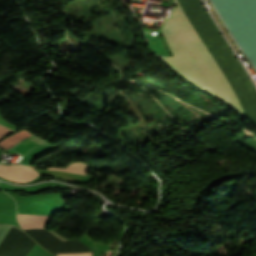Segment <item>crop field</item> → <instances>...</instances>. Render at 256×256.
Returning a JSON list of instances; mask_svg holds the SVG:
<instances>
[{"label": "crop field", "instance_id": "crop-field-1", "mask_svg": "<svg viewBox=\"0 0 256 256\" xmlns=\"http://www.w3.org/2000/svg\"><path fill=\"white\" fill-rule=\"evenodd\" d=\"M170 18L165 20L162 30L174 57L163 58L182 76L188 78L202 90L235 107L256 123V91L249 78L223 40L200 0H173ZM246 115V116H247Z\"/></svg>", "mask_w": 256, "mask_h": 256}, {"label": "crop field", "instance_id": "crop-field-2", "mask_svg": "<svg viewBox=\"0 0 256 256\" xmlns=\"http://www.w3.org/2000/svg\"><path fill=\"white\" fill-rule=\"evenodd\" d=\"M6 166L0 164V177L13 182H30L39 175L35 170L24 165Z\"/></svg>", "mask_w": 256, "mask_h": 256}, {"label": "crop field", "instance_id": "crop-field-3", "mask_svg": "<svg viewBox=\"0 0 256 256\" xmlns=\"http://www.w3.org/2000/svg\"><path fill=\"white\" fill-rule=\"evenodd\" d=\"M50 216L17 214L18 222L22 229L43 228Z\"/></svg>", "mask_w": 256, "mask_h": 256}, {"label": "crop field", "instance_id": "crop-field-4", "mask_svg": "<svg viewBox=\"0 0 256 256\" xmlns=\"http://www.w3.org/2000/svg\"><path fill=\"white\" fill-rule=\"evenodd\" d=\"M32 134L28 133L27 131L23 130L17 134H14L8 138H6L5 140H3L2 142H0V146L4 149H9L12 146H14L15 144H17L19 141H21L22 139L30 136Z\"/></svg>", "mask_w": 256, "mask_h": 256}, {"label": "crop field", "instance_id": "crop-field-5", "mask_svg": "<svg viewBox=\"0 0 256 256\" xmlns=\"http://www.w3.org/2000/svg\"><path fill=\"white\" fill-rule=\"evenodd\" d=\"M88 169H89V166H87L83 163H71L65 169L49 168L48 170H57V171H62V172H67V173H77V174L86 175Z\"/></svg>", "mask_w": 256, "mask_h": 256}, {"label": "crop field", "instance_id": "crop-field-6", "mask_svg": "<svg viewBox=\"0 0 256 256\" xmlns=\"http://www.w3.org/2000/svg\"><path fill=\"white\" fill-rule=\"evenodd\" d=\"M14 131L0 125V139H2L3 137H5L6 135L12 133Z\"/></svg>", "mask_w": 256, "mask_h": 256}]
</instances>
